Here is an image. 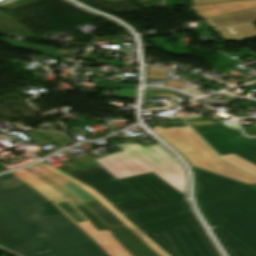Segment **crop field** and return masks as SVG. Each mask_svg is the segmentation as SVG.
I'll use <instances>...</instances> for the list:
<instances>
[{
    "mask_svg": "<svg viewBox=\"0 0 256 256\" xmlns=\"http://www.w3.org/2000/svg\"><path fill=\"white\" fill-rule=\"evenodd\" d=\"M0 241L29 256H109L11 173L0 177Z\"/></svg>",
    "mask_w": 256,
    "mask_h": 256,
    "instance_id": "obj_1",
    "label": "crop field"
},
{
    "mask_svg": "<svg viewBox=\"0 0 256 256\" xmlns=\"http://www.w3.org/2000/svg\"><path fill=\"white\" fill-rule=\"evenodd\" d=\"M197 204L210 227H221L256 254V188L198 168Z\"/></svg>",
    "mask_w": 256,
    "mask_h": 256,
    "instance_id": "obj_2",
    "label": "crop field"
},
{
    "mask_svg": "<svg viewBox=\"0 0 256 256\" xmlns=\"http://www.w3.org/2000/svg\"><path fill=\"white\" fill-rule=\"evenodd\" d=\"M152 130L184 156L191 166L198 167L240 182L256 184V178L220 160L217 155L191 130L189 126Z\"/></svg>",
    "mask_w": 256,
    "mask_h": 256,
    "instance_id": "obj_3",
    "label": "crop field"
},
{
    "mask_svg": "<svg viewBox=\"0 0 256 256\" xmlns=\"http://www.w3.org/2000/svg\"><path fill=\"white\" fill-rule=\"evenodd\" d=\"M147 234L172 256H219L197 220Z\"/></svg>",
    "mask_w": 256,
    "mask_h": 256,
    "instance_id": "obj_4",
    "label": "crop field"
},
{
    "mask_svg": "<svg viewBox=\"0 0 256 256\" xmlns=\"http://www.w3.org/2000/svg\"><path fill=\"white\" fill-rule=\"evenodd\" d=\"M139 197L112 203L122 215L184 199V196L152 173L120 180Z\"/></svg>",
    "mask_w": 256,
    "mask_h": 256,
    "instance_id": "obj_5",
    "label": "crop field"
},
{
    "mask_svg": "<svg viewBox=\"0 0 256 256\" xmlns=\"http://www.w3.org/2000/svg\"><path fill=\"white\" fill-rule=\"evenodd\" d=\"M221 156L235 153L256 164V140L204 117L186 121Z\"/></svg>",
    "mask_w": 256,
    "mask_h": 256,
    "instance_id": "obj_6",
    "label": "crop field"
},
{
    "mask_svg": "<svg viewBox=\"0 0 256 256\" xmlns=\"http://www.w3.org/2000/svg\"><path fill=\"white\" fill-rule=\"evenodd\" d=\"M188 209L190 208L186 200H183L181 202L127 214L126 216L146 232L194 220L193 213L186 212Z\"/></svg>",
    "mask_w": 256,
    "mask_h": 256,
    "instance_id": "obj_7",
    "label": "crop field"
},
{
    "mask_svg": "<svg viewBox=\"0 0 256 256\" xmlns=\"http://www.w3.org/2000/svg\"><path fill=\"white\" fill-rule=\"evenodd\" d=\"M121 145L123 144L116 145V146L122 149L123 151H125L135 160L140 162L150 171L157 174L159 177H161L163 180H165L167 183H169L171 186H173L183 195H185L186 175L178 160H175L166 164H161L145 148H143L138 144H135V143L125 144L127 145V147H124Z\"/></svg>",
    "mask_w": 256,
    "mask_h": 256,
    "instance_id": "obj_8",
    "label": "crop field"
},
{
    "mask_svg": "<svg viewBox=\"0 0 256 256\" xmlns=\"http://www.w3.org/2000/svg\"><path fill=\"white\" fill-rule=\"evenodd\" d=\"M18 177L52 201L64 214H66L77 225L90 223L91 221L85 217L75 206H73L68 200L61 197L38 180L30 176L25 171L14 172Z\"/></svg>",
    "mask_w": 256,
    "mask_h": 256,
    "instance_id": "obj_9",
    "label": "crop field"
},
{
    "mask_svg": "<svg viewBox=\"0 0 256 256\" xmlns=\"http://www.w3.org/2000/svg\"><path fill=\"white\" fill-rule=\"evenodd\" d=\"M95 160L118 180L150 172L123 151Z\"/></svg>",
    "mask_w": 256,
    "mask_h": 256,
    "instance_id": "obj_10",
    "label": "crop field"
},
{
    "mask_svg": "<svg viewBox=\"0 0 256 256\" xmlns=\"http://www.w3.org/2000/svg\"><path fill=\"white\" fill-rule=\"evenodd\" d=\"M202 19L256 8V0L190 6Z\"/></svg>",
    "mask_w": 256,
    "mask_h": 256,
    "instance_id": "obj_11",
    "label": "crop field"
},
{
    "mask_svg": "<svg viewBox=\"0 0 256 256\" xmlns=\"http://www.w3.org/2000/svg\"><path fill=\"white\" fill-rule=\"evenodd\" d=\"M68 175L89 185L91 188L99 192L98 194L109 203L137 196L124 185L105 189L84 170L68 173Z\"/></svg>",
    "mask_w": 256,
    "mask_h": 256,
    "instance_id": "obj_12",
    "label": "crop field"
},
{
    "mask_svg": "<svg viewBox=\"0 0 256 256\" xmlns=\"http://www.w3.org/2000/svg\"><path fill=\"white\" fill-rule=\"evenodd\" d=\"M212 27L239 25L256 22V10L229 14L225 16L206 19Z\"/></svg>",
    "mask_w": 256,
    "mask_h": 256,
    "instance_id": "obj_13",
    "label": "crop field"
},
{
    "mask_svg": "<svg viewBox=\"0 0 256 256\" xmlns=\"http://www.w3.org/2000/svg\"><path fill=\"white\" fill-rule=\"evenodd\" d=\"M230 256H256L221 228L212 229Z\"/></svg>",
    "mask_w": 256,
    "mask_h": 256,
    "instance_id": "obj_14",
    "label": "crop field"
},
{
    "mask_svg": "<svg viewBox=\"0 0 256 256\" xmlns=\"http://www.w3.org/2000/svg\"><path fill=\"white\" fill-rule=\"evenodd\" d=\"M227 40H246L256 38V27L251 24L215 28Z\"/></svg>",
    "mask_w": 256,
    "mask_h": 256,
    "instance_id": "obj_15",
    "label": "crop field"
},
{
    "mask_svg": "<svg viewBox=\"0 0 256 256\" xmlns=\"http://www.w3.org/2000/svg\"><path fill=\"white\" fill-rule=\"evenodd\" d=\"M88 172L93 178H95L101 185L105 188L121 185L120 182L114 181V176H112L106 169L101 165L84 169Z\"/></svg>",
    "mask_w": 256,
    "mask_h": 256,
    "instance_id": "obj_16",
    "label": "crop field"
},
{
    "mask_svg": "<svg viewBox=\"0 0 256 256\" xmlns=\"http://www.w3.org/2000/svg\"><path fill=\"white\" fill-rule=\"evenodd\" d=\"M3 40L6 44H8L12 47L28 49V50L40 52V53H43V54H46L49 56L59 57L63 54V53L57 52V48H53V47L15 42V41L7 40V39H3Z\"/></svg>",
    "mask_w": 256,
    "mask_h": 256,
    "instance_id": "obj_17",
    "label": "crop field"
},
{
    "mask_svg": "<svg viewBox=\"0 0 256 256\" xmlns=\"http://www.w3.org/2000/svg\"><path fill=\"white\" fill-rule=\"evenodd\" d=\"M221 158L256 176V165H254V164H252L234 154L223 156Z\"/></svg>",
    "mask_w": 256,
    "mask_h": 256,
    "instance_id": "obj_18",
    "label": "crop field"
},
{
    "mask_svg": "<svg viewBox=\"0 0 256 256\" xmlns=\"http://www.w3.org/2000/svg\"><path fill=\"white\" fill-rule=\"evenodd\" d=\"M145 148L152 155H154L161 163H166V162L175 160V158L171 154H169L167 151H165L159 144L145 147Z\"/></svg>",
    "mask_w": 256,
    "mask_h": 256,
    "instance_id": "obj_19",
    "label": "crop field"
},
{
    "mask_svg": "<svg viewBox=\"0 0 256 256\" xmlns=\"http://www.w3.org/2000/svg\"><path fill=\"white\" fill-rule=\"evenodd\" d=\"M177 94L178 93L173 92L171 90H167V89L147 90V91H145V95H144V104L148 103L147 99H149L151 97L170 98V97H176Z\"/></svg>",
    "mask_w": 256,
    "mask_h": 256,
    "instance_id": "obj_20",
    "label": "crop field"
},
{
    "mask_svg": "<svg viewBox=\"0 0 256 256\" xmlns=\"http://www.w3.org/2000/svg\"><path fill=\"white\" fill-rule=\"evenodd\" d=\"M23 156L27 158V159H25V160H27V161L22 162V163H20V164L12 165V166H8V165H11V164H8V165H4V164H2V163H0V164H2L3 166H5V167H7V168H9V169H12V168L20 167V166H22V165H24V164H29V163H31V162H34V161L38 160V159H36L35 157H33L32 155H30V154H24ZM21 161H24V160H21ZM17 162H20V161H17ZM15 163H16V162H15ZM12 164H14V163H12Z\"/></svg>",
    "mask_w": 256,
    "mask_h": 256,
    "instance_id": "obj_21",
    "label": "crop field"
},
{
    "mask_svg": "<svg viewBox=\"0 0 256 256\" xmlns=\"http://www.w3.org/2000/svg\"><path fill=\"white\" fill-rule=\"evenodd\" d=\"M184 123L185 122L181 118H179V119L172 120V122L161 124V126L164 129H166V128L174 127V126H177V125H180V124H184Z\"/></svg>",
    "mask_w": 256,
    "mask_h": 256,
    "instance_id": "obj_22",
    "label": "crop field"
},
{
    "mask_svg": "<svg viewBox=\"0 0 256 256\" xmlns=\"http://www.w3.org/2000/svg\"><path fill=\"white\" fill-rule=\"evenodd\" d=\"M194 5L198 4H206V3H214V2H222V1H231V0H192Z\"/></svg>",
    "mask_w": 256,
    "mask_h": 256,
    "instance_id": "obj_23",
    "label": "crop field"
},
{
    "mask_svg": "<svg viewBox=\"0 0 256 256\" xmlns=\"http://www.w3.org/2000/svg\"><path fill=\"white\" fill-rule=\"evenodd\" d=\"M231 107H256V100H249L246 104L231 105Z\"/></svg>",
    "mask_w": 256,
    "mask_h": 256,
    "instance_id": "obj_24",
    "label": "crop field"
},
{
    "mask_svg": "<svg viewBox=\"0 0 256 256\" xmlns=\"http://www.w3.org/2000/svg\"><path fill=\"white\" fill-rule=\"evenodd\" d=\"M199 117H203L202 115L194 112L190 115H187V116H183L182 118H184L185 120H188V119H195V118H199Z\"/></svg>",
    "mask_w": 256,
    "mask_h": 256,
    "instance_id": "obj_25",
    "label": "crop field"
},
{
    "mask_svg": "<svg viewBox=\"0 0 256 256\" xmlns=\"http://www.w3.org/2000/svg\"><path fill=\"white\" fill-rule=\"evenodd\" d=\"M219 94L222 95V96H224V97L232 98V99H234V100L237 99L236 97L229 96V95H227V94H225V93H219Z\"/></svg>",
    "mask_w": 256,
    "mask_h": 256,
    "instance_id": "obj_26",
    "label": "crop field"
},
{
    "mask_svg": "<svg viewBox=\"0 0 256 256\" xmlns=\"http://www.w3.org/2000/svg\"><path fill=\"white\" fill-rule=\"evenodd\" d=\"M256 187V186H255Z\"/></svg>",
    "mask_w": 256,
    "mask_h": 256,
    "instance_id": "obj_27",
    "label": "crop field"
},
{
    "mask_svg": "<svg viewBox=\"0 0 256 256\" xmlns=\"http://www.w3.org/2000/svg\"><path fill=\"white\" fill-rule=\"evenodd\" d=\"M256 139V138H255Z\"/></svg>",
    "mask_w": 256,
    "mask_h": 256,
    "instance_id": "obj_28",
    "label": "crop field"
}]
</instances>
